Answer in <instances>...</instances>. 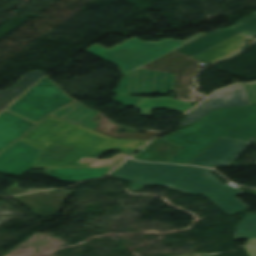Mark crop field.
Segmentation results:
<instances>
[{"mask_svg": "<svg viewBox=\"0 0 256 256\" xmlns=\"http://www.w3.org/2000/svg\"><path fill=\"white\" fill-rule=\"evenodd\" d=\"M194 104L178 101L175 99L161 98H145L144 102L136 109L143 110L141 115L151 116L153 109H167L185 113Z\"/></svg>", "mask_w": 256, "mask_h": 256, "instance_id": "214f88e0", "label": "crop field"}, {"mask_svg": "<svg viewBox=\"0 0 256 256\" xmlns=\"http://www.w3.org/2000/svg\"><path fill=\"white\" fill-rule=\"evenodd\" d=\"M45 73L34 71L30 72L22 78L21 81L17 82L11 89L0 92V110L21 95L25 90H27L31 85H33L37 80H39Z\"/></svg>", "mask_w": 256, "mask_h": 256, "instance_id": "dafd665d", "label": "crop field"}, {"mask_svg": "<svg viewBox=\"0 0 256 256\" xmlns=\"http://www.w3.org/2000/svg\"><path fill=\"white\" fill-rule=\"evenodd\" d=\"M175 74L143 70L141 68L125 75L116 91L114 102L124 106H135L141 98L129 97L130 94H161L172 89Z\"/></svg>", "mask_w": 256, "mask_h": 256, "instance_id": "f4fd0767", "label": "crop field"}, {"mask_svg": "<svg viewBox=\"0 0 256 256\" xmlns=\"http://www.w3.org/2000/svg\"><path fill=\"white\" fill-rule=\"evenodd\" d=\"M247 37L248 36L238 34L192 58L210 64L239 51L242 48L243 40Z\"/></svg>", "mask_w": 256, "mask_h": 256, "instance_id": "733c2abd", "label": "crop field"}, {"mask_svg": "<svg viewBox=\"0 0 256 256\" xmlns=\"http://www.w3.org/2000/svg\"><path fill=\"white\" fill-rule=\"evenodd\" d=\"M248 92L249 101L251 105L256 104V84L245 86Z\"/></svg>", "mask_w": 256, "mask_h": 256, "instance_id": "eef30255", "label": "crop field"}, {"mask_svg": "<svg viewBox=\"0 0 256 256\" xmlns=\"http://www.w3.org/2000/svg\"><path fill=\"white\" fill-rule=\"evenodd\" d=\"M221 137L253 140L256 137V106L216 110L196 125L162 139L185 147L168 162L189 164Z\"/></svg>", "mask_w": 256, "mask_h": 256, "instance_id": "ac0d7876", "label": "crop field"}, {"mask_svg": "<svg viewBox=\"0 0 256 256\" xmlns=\"http://www.w3.org/2000/svg\"><path fill=\"white\" fill-rule=\"evenodd\" d=\"M111 176H115L118 178L135 182L133 185L130 186V188L136 191H138L146 183L158 185L162 183L173 184L174 182L177 181L174 179H168L164 177L154 176V175L126 170L122 168H119L118 170H116L113 174H111Z\"/></svg>", "mask_w": 256, "mask_h": 256, "instance_id": "92a150f3", "label": "crop field"}, {"mask_svg": "<svg viewBox=\"0 0 256 256\" xmlns=\"http://www.w3.org/2000/svg\"><path fill=\"white\" fill-rule=\"evenodd\" d=\"M183 147L159 139L148 144L132 158L136 160L167 162Z\"/></svg>", "mask_w": 256, "mask_h": 256, "instance_id": "d9b57169", "label": "crop field"}, {"mask_svg": "<svg viewBox=\"0 0 256 256\" xmlns=\"http://www.w3.org/2000/svg\"><path fill=\"white\" fill-rule=\"evenodd\" d=\"M246 105H249V101L244 84L221 89L189 112L186 118L182 120L180 124L182 127H184L188 124L196 122L214 109Z\"/></svg>", "mask_w": 256, "mask_h": 256, "instance_id": "dd49c442", "label": "crop field"}, {"mask_svg": "<svg viewBox=\"0 0 256 256\" xmlns=\"http://www.w3.org/2000/svg\"><path fill=\"white\" fill-rule=\"evenodd\" d=\"M35 124L7 110L0 113V152Z\"/></svg>", "mask_w": 256, "mask_h": 256, "instance_id": "22f410ed", "label": "crop field"}, {"mask_svg": "<svg viewBox=\"0 0 256 256\" xmlns=\"http://www.w3.org/2000/svg\"><path fill=\"white\" fill-rule=\"evenodd\" d=\"M238 33L256 37V13L237 22L236 26L215 30L208 35L174 51L192 57Z\"/></svg>", "mask_w": 256, "mask_h": 256, "instance_id": "e52e79f7", "label": "crop field"}, {"mask_svg": "<svg viewBox=\"0 0 256 256\" xmlns=\"http://www.w3.org/2000/svg\"><path fill=\"white\" fill-rule=\"evenodd\" d=\"M121 167L175 179H179L192 168L190 166L180 165L139 163L130 159H128Z\"/></svg>", "mask_w": 256, "mask_h": 256, "instance_id": "5142ce71", "label": "crop field"}, {"mask_svg": "<svg viewBox=\"0 0 256 256\" xmlns=\"http://www.w3.org/2000/svg\"><path fill=\"white\" fill-rule=\"evenodd\" d=\"M158 133L159 132H154V131H146L144 134L125 133V134H118L117 137L151 139Z\"/></svg>", "mask_w": 256, "mask_h": 256, "instance_id": "730fd06b", "label": "crop field"}, {"mask_svg": "<svg viewBox=\"0 0 256 256\" xmlns=\"http://www.w3.org/2000/svg\"><path fill=\"white\" fill-rule=\"evenodd\" d=\"M102 117V119L100 121H94L95 119H97L98 117ZM92 122H96V123H99L98 125V131H101V132H104L106 134H109V135H112V136H117V129L119 128V125H116V124H112L110 123L107 118L105 116H103L102 114H98L95 118H93L91 120ZM100 132V133H101ZM103 133V134H104Z\"/></svg>", "mask_w": 256, "mask_h": 256, "instance_id": "4177f3b9", "label": "crop field"}, {"mask_svg": "<svg viewBox=\"0 0 256 256\" xmlns=\"http://www.w3.org/2000/svg\"><path fill=\"white\" fill-rule=\"evenodd\" d=\"M99 112H96L94 110H91L87 108L84 104L76 101L58 111L51 114L78 124H81L83 126L97 129L96 123L89 122L94 116H96ZM77 124V125H78ZM80 125V126H81Z\"/></svg>", "mask_w": 256, "mask_h": 256, "instance_id": "4a817a6b", "label": "crop field"}, {"mask_svg": "<svg viewBox=\"0 0 256 256\" xmlns=\"http://www.w3.org/2000/svg\"><path fill=\"white\" fill-rule=\"evenodd\" d=\"M160 186H166V187H170L171 185H168V184H163V185H160Z\"/></svg>", "mask_w": 256, "mask_h": 256, "instance_id": "d3111659", "label": "crop field"}, {"mask_svg": "<svg viewBox=\"0 0 256 256\" xmlns=\"http://www.w3.org/2000/svg\"><path fill=\"white\" fill-rule=\"evenodd\" d=\"M204 193L230 214L248 208V206L235 197L244 192L230 183Z\"/></svg>", "mask_w": 256, "mask_h": 256, "instance_id": "cbeb9de0", "label": "crop field"}, {"mask_svg": "<svg viewBox=\"0 0 256 256\" xmlns=\"http://www.w3.org/2000/svg\"><path fill=\"white\" fill-rule=\"evenodd\" d=\"M20 140L43 150L34 169L87 167L110 150L129 156L148 142L114 139L51 116Z\"/></svg>", "mask_w": 256, "mask_h": 256, "instance_id": "8a807250", "label": "crop field"}, {"mask_svg": "<svg viewBox=\"0 0 256 256\" xmlns=\"http://www.w3.org/2000/svg\"><path fill=\"white\" fill-rule=\"evenodd\" d=\"M72 191H60L63 200L56 194V191H50L47 195L46 191L26 194L14 199L22 202L29 207L36 215L40 217H50L59 212L63 206L65 199L72 195Z\"/></svg>", "mask_w": 256, "mask_h": 256, "instance_id": "3316defc", "label": "crop field"}, {"mask_svg": "<svg viewBox=\"0 0 256 256\" xmlns=\"http://www.w3.org/2000/svg\"><path fill=\"white\" fill-rule=\"evenodd\" d=\"M236 238H256V214L248 213L238 224Z\"/></svg>", "mask_w": 256, "mask_h": 256, "instance_id": "a9b5d70f", "label": "crop field"}, {"mask_svg": "<svg viewBox=\"0 0 256 256\" xmlns=\"http://www.w3.org/2000/svg\"><path fill=\"white\" fill-rule=\"evenodd\" d=\"M40 153L41 150L18 140L0 155V170L14 160L16 164L4 174L21 175L35 165Z\"/></svg>", "mask_w": 256, "mask_h": 256, "instance_id": "5a996713", "label": "crop field"}, {"mask_svg": "<svg viewBox=\"0 0 256 256\" xmlns=\"http://www.w3.org/2000/svg\"><path fill=\"white\" fill-rule=\"evenodd\" d=\"M249 143L221 138L190 164L212 167L230 165Z\"/></svg>", "mask_w": 256, "mask_h": 256, "instance_id": "d8731c3e", "label": "crop field"}, {"mask_svg": "<svg viewBox=\"0 0 256 256\" xmlns=\"http://www.w3.org/2000/svg\"><path fill=\"white\" fill-rule=\"evenodd\" d=\"M203 35L205 33L197 34L186 41L164 39L160 42H144L134 37L110 50L95 44L85 51L118 65L125 75Z\"/></svg>", "mask_w": 256, "mask_h": 256, "instance_id": "34b2d1b8", "label": "crop field"}, {"mask_svg": "<svg viewBox=\"0 0 256 256\" xmlns=\"http://www.w3.org/2000/svg\"><path fill=\"white\" fill-rule=\"evenodd\" d=\"M255 165H256V163H255Z\"/></svg>", "mask_w": 256, "mask_h": 256, "instance_id": "bd1437ed", "label": "crop field"}, {"mask_svg": "<svg viewBox=\"0 0 256 256\" xmlns=\"http://www.w3.org/2000/svg\"><path fill=\"white\" fill-rule=\"evenodd\" d=\"M250 256H256V239H250L245 246Z\"/></svg>", "mask_w": 256, "mask_h": 256, "instance_id": "ae1a2a85", "label": "crop field"}, {"mask_svg": "<svg viewBox=\"0 0 256 256\" xmlns=\"http://www.w3.org/2000/svg\"><path fill=\"white\" fill-rule=\"evenodd\" d=\"M209 171L212 170L193 167L171 187L178 190L198 194L223 185V183L220 182Z\"/></svg>", "mask_w": 256, "mask_h": 256, "instance_id": "d1516ede", "label": "crop field"}, {"mask_svg": "<svg viewBox=\"0 0 256 256\" xmlns=\"http://www.w3.org/2000/svg\"><path fill=\"white\" fill-rule=\"evenodd\" d=\"M197 60L190 58L183 65L180 66L176 73L175 84L173 90L177 93L178 100L186 102H196L202 99L197 88L192 87V82L195 74L205 65Z\"/></svg>", "mask_w": 256, "mask_h": 256, "instance_id": "28ad6ade", "label": "crop field"}, {"mask_svg": "<svg viewBox=\"0 0 256 256\" xmlns=\"http://www.w3.org/2000/svg\"><path fill=\"white\" fill-rule=\"evenodd\" d=\"M189 57L181 55L177 52H170L157 60L143 66L144 69L175 73L178 67L184 63Z\"/></svg>", "mask_w": 256, "mask_h": 256, "instance_id": "00972430", "label": "crop field"}, {"mask_svg": "<svg viewBox=\"0 0 256 256\" xmlns=\"http://www.w3.org/2000/svg\"><path fill=\"white\" fill-rule=\"evenodd\" d=\"M112 168L45 169V172L63 181H82L99 178Z\"/></svg>", "mask_w": 256, "mask_h": 256, "instance_id": "bc2a9ffb", "label": "crop field"}, {"mask_svg": "<svg viewBox=\"0 0 256 256\" xmlns=\"http://www.w3.org/2000/svg\"><path fill=\"white\" fill-rule=\"evenodd\" d=\"M58 85L43 77L7 110L38 123L52 112L74 102Z\"/></svg>", "mask_w": 256, "mask_h": 256, "instance_id": "412701ff", "label": "crop field"}, {"mask_svg": "<svg viewBox=\"0 0 256 256\" xmlns=\"http://www.w3.org/2000/svg\"><path fill=\"white\" fill-rule=\"evenodd\" d=\"M251 142L256 143V138L253 141H251Z\"/></svg>", "mask_w": 256, "mask_h": 256, "instance_id": "750c4746", "label": "crop field"}]
</instances>
